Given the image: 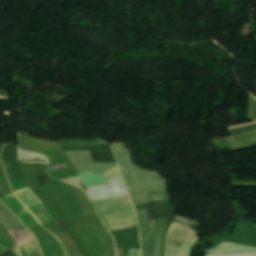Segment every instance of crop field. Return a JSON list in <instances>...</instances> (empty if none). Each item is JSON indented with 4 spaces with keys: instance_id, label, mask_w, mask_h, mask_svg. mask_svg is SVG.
<instances>
[{
    "instance_id": "obj_1",
    "label": "crop field",
    "mask_w": 256,
    "mask_h": 256,
    "mask_svg": "<svg viewBox=\"0 0 256 256\" xmlns=\"http://www.w3.org/2000/svg\"><path fill=\"white\" fill-rule=\"evenodd\" d=\"M93 203L110 231L138 226L130 197L97 200Z\"/></svg>"
},
{
    "instance_id": "obj_2",
    "label": "crop field",
    "mask_w": 256,
    "mask_h": 256,
    "mask_svg": "<svg viewBox=\"0 0 256 256\" xmlns=\"http://www.w3.org/2000/svg\"><path fill=\"white\" fill-rule=\"evenodd\" d=\"M136 212L142 230L143 256H153L156 246L157 231L165 218L156 221H150L145 208L137 209ZM170 224L171 223L167 219L163 221L158 232L157 247L154 256H162L165 232Z\"/></svg>"
},
{
    "instance_id": "obj_3",
    "label": "crop field",
    "mask_w": 256,
    "mask_h": 256,
    "mask_svg": "<svg viewBox=\"0 0 256 256\" xmlns=\"http://www.w3.org/2000/svg\"><path fill=\"white\" fill-rule=\"evenodd\" d=\"M198 236L188 227L172 223L168 233L164 256H189L190 247Z\"/></svg>"
},
{
    "instance_id": "obj_4",
    "label": "crop field",
    "mask_w": 256,
    "mask_h": 256,
    "mask_svg": "<svg viewBox=\"0 0 256 256\" xmlns=\"http://www.w3.org/2000/svg\"><path fill=\"white\" fill-rule=\"evenodd\" d=\"M104 176L108 184L86 187L91 200L129 196L117 166Z\"/></svg>"
},
{
    "instance_id": "obj_5",
    "label": "crop field",
    "mask_w": 256,
    "mask_h": 256,
    "mask_svg": "<svg viewBox=\"0 0 256 256\" xmlns=\"http://www.w3.org/2000/svg\"><path fill=\"white\" fill-rule=\"evenodd\" d=\"M11 186L16 196L26 207L40 202V200L31 192L25 179L16 182ZM28 209H30L32 213H34L37 216L42 226L54 223L52 217L50 216L49 212L44 207L42 202L28 207Z\"/></svg>"
},
{
    "instance_id": "obj_6",
    "label": "crop field",
    "mask_w": 256,
    "mask_h": 256,
    "mask_svg": "<svg viewBox=\"0 0 256 256\" xmlns=\"http://www.w3.org/2000/svg\"><path fill=\"white\" fill-rule=\"evenodd\" d=\"M0 164L1 159H0ZM5 195H8L7 192H5L0 187V197H3ZM0 200L5 203L28 227L37 225L36 218L34 215H32L22 204L21 202L15 197L14 193L5 196L3 198H0ZM35 218H33L28 212ZM39 223V222H38ZM40 224V223H39Z\"/></svg>"
},
{
    "instance_id": "obj_7",
    "label": "crop field",
    "mask_w": 256,
    "mask_h": 256,
    "mask_svg": "<svg viewBox=\"0 0 256 256\" xmlns=\"http://www.w3.org/2000/svg\"><path fill=\"white\" fill-rule=\"evenodd\" d=\"M135 206L148 201L168 200L167 187L142 190H128Z\"/></svg>"
},
{
    "instance_id": "obj_8",
    "label": "crop field",
    "mask_w": 256,
    "mask_h": 256,
    "mask_svg": "<svg viewBox=\"0 0 256 256\" xmlns=\"http://www.w3.org/2000/svg\"><path fill=\"white\" fill-rule=\"evenodd\" d=\"M244 252H256V248L223 242L212 249H206L204 251V253H210V254H231V253H244Z\"/></svg>"
},
{
    "instance_id": "obj_9",
    "label": "crop field",
    "mask_w": 256,
    "mask_h": 256,
    "mask_svg": "<svg viewBox=\"0 0 256 256\" xmlns=\"http://www.w3.org/2000/svg\"><path fill=\"white\" fill-rule=\"evenodd\" d=\"M0 222H2L7 228H11V229L25 228L23 223L1 202H0Z\"/></svg>"
},
{
    "instance_id": "obj_10",
    "label": "crop field",
    "mask_w": 256,
    "mask_h": 256,
    "mask_svg": "<svg viewBox=\"0 0 256 256\" xmlns=\"http://www.w3.org/2000/svg\"><path fill=\"white\" fill-rule=\"evenodd\" d=\"M226 139L230 147L254 142L256 141V130L248 133L227 137Z\"/></svg>"
},
{
    "instance_id": "obj_11",
    "label": "crop field",
    "mask_w": 256,
    "mask_h": 256,
    "mask_svg": "<svg viewBox=\"0 0 256 256\" xmlns=\"http://www.w3.org/2000/svg\"><path fill=\"white\" fill-rule=\"evenodd\" d=\"M27 245L29 247V250H30L32 256H41L36 242L30 243ZM27 245L23 244L21 246L13 247V250L18 256H31Z\"/></svg>"
},
{
    "instance_id": "obj_12",
    "label": "crop field",
    "mask_w": 256,
    "mask_h": 256,
    "mask_svg": "<svg viewBox=\"0 0 256 256\" xmlns=\"http://www.w3.org/2000/svg\"><path fill=\"white\" fill-rule=\"evenodd\" d=\"M37 240L44 256H59L50 237L38 238Z\"/></svg>"
},
{
    "instance_id": "obj_13",
    "label": "crop field",
    "mask_w": 256,
    "mask_h": 256,
    "mask_svg": "<svg viewBox=\"0 0 256 256\" xmlns=\"http://www.w3.org/2000/svg\"><path fill=\"white\" fill-rule=\"evenodd\" d=\"M14 245L15 243L12 237L6 231L0 228V253L7 251L6 248Z\"/></svg>"
},
{
    "instance_id": "obj_14",
    "label": "crop field",
    "mask_w": 256,
    "mask_h": 256,
    "mask_svg": "<svg viewBox=\"0 0 256 256\" xmlns=\"http://www.w3.org/2000/svg\"><path fill=\"white\" fill-rule=\"evenodd\" d=\"M105 142L101 141L100 139L62 141L63 145H70V146L108 144Z\"/></svg>"
},
{
    "instance_id": "obj_15",
    "label": "crop field",
    "mask_w": 256,
    "mask_h": 256,
    "mask_svg": "<svg viewBox=\"0 0 256 256\" xmlns=\"http://www.w3.org/2000/svg\"><path fill=\"white\" fill-rule=\"evenodd\" d=\"M256 129V124L230 131L232 135Z\"/></svg>"
},
{
    "instance_id": "obj_16",
    "label": "crop field",
    "mask_w": 256,
    "mask_h": 256,
    "mask_svg": "<svg viewBox=\"0 0 256 256\" xmlns=\"http://www.w3.org/2000/svg\"><path fill=\"white\" fill-rule=\"evenodd\" d=\"M253 146H256V144L255 143H251V144H246V145H241V146L233 147L231 149H232V151H235V150H239V149H243V148H247V147H253Z\"/></svg>"
},
{
    "instance_id": "obj_17",
    "label": "crop field",
    "mask_w": 256,
    "mask_h": 256,
    "mask_svg": "<svg viewBox=\"0 0 256 256\" xmlns=\"http://www.w3.org/2000/svg\"><path fill=\"white\" fill-rule=\"evenodd\" d=\"M254 123H256V122H252V123H248V124H242V125H237V126L229 127V129L231 130V129L239 128V127H242V126L254 124Z\"/></svg>"
},
{
    "instance_id": "obj_18",
    "label": "crop field",
    "mask_w": 256,
    "mask_h": 256,
    "mask_svg": "<svg viewBox=\"0 0 256 256\" xmlns=\"http://www.w3.org/2000/svg\"><path fill=\"white\" fill-rule=\"evenodd\" d=\"M177 218H180V219H184V220H187V221H190V222H193V223H195V224H198L199 225V223L198 222H195V221H193V220H190V219H187V218H185V217H182V216H176Z\"/></svg>"
},
{
    "instance_id": "obj_19",
    "label": "crop field",
    "mask_w": 256,
    "mask_h": 256,
    "mask_svg": "<svg viewBox=\"0 0 256 256\" xmlns=\"http://www.w3.org/2000/svg\"><path fill=\"white\" fill-rule=\"evenodd\" d=\"M8 94L0 91V97L7 98Z\"/></svg>"
},
{
    "instance_id": "obj_20",
    "label": "crop field",
    "mask_w": 256,
    "mask_h": 256,
    "mask_svg": "<svg viewBox=\"0 0 256 256\" xmlns=\"http://www.w3.org/2000/svg\"><path fill=\"white\" fill-rule=\"evenodd\" d=\"M0 226H2V227H4V228H6V227H5L3 224H1V223H0Z\"/></svg>"
}]
</instances>
